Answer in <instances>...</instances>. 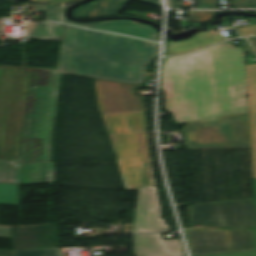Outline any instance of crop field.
I'll return each instance as SVG.
<instances>
[{"label":"crop field","instance_id":"3","mask_svg":"<svg viewBox=\"0 0 256 256\" xmlns=\"http://www.w3.org/2000/svg\"><path fill=\"white\" fill-rule=\"evenodd\" d=\"M30 86L24 134L18 164L41 163L44 139L33 138L40 86L59 87L57 70L0 66V160L16 161L24 121L30 73Z\"/></svg>","mask_w":256,"mask_h":256},{"label":"crop field","instance_id":"25","mask_svg":"<svg viewBox=\"0 0 256 256\" xmlns=\"http://www.w3.org/2000/svg\"><path fill=\"white\" fill-rule=\"evenodd\" d=\"M238 40L242 44V46L244 47L247 56L256 55V53L251 48V46L249 45V43L247 42V40L245 38H241V39H238Z\"/></svg>","mask_w":256,"mask_h":256},{"label":"crop field","instance_id":"10","mask_svg":"<svg viewBox=\"0 0 256 256\" xmlns=\"http://www.w3.org/2000/svg\"><path fill=\"white\" fill-rule=\"evenodd\" d=\"M139 200L132 233L169 231L161 219V207L156 187H139Z\"/></svg>","mask_w":256,"mask_h":256},{"label":"crop field","instance_id":"15","mask_svg":"<svg viewBox=\"0 0 256 256\" xmlns=\"http://www.w3.org/2000/svg\"><path fill=\"white\" fill-rule=\"evenodd\" d=\"M254 178H256V64L247 65Z\"/></svg>","mask_w":256,"mask_h":256},{"label":"crop field","instance_id":"28","mask_svg":"<svg viewBox=\"0 0 256 256\" xmlns=\"http://www.w3.org/2000/svg\"><path fill=\"white\" fill-rule=\"evenodd\" d=\"M0 256H12L11 251L0 250Z\"/></svg>","mask_w":256,"mask_h":256},{"label":"crop field","instance_id":"30","mask_svg":"<svg viewBox=\"0 0 256 256\" xmlns=\"http://www.w3.org/2000/svg\"><path fill=\"white\" fill-rule=\"evenodd\" d=\"M250 39L253 42V44L255 45V47H256V38H250Z\"/></svg>","mask_w":256,"mask_h":256},{"label":"crop field","instance_id":"11","mask_svg":"<svg viewBox=\"0 0 256 256\" xmlns=\"http://www.w3.org/2000/svg\"><path fill=\"white\" fill-rule=\"evenodd\" d=\"M59 88L41 87L34 137L45 138L42 163L51 162L52 129Z\"/></svg>","mask_w":256,"mask_h":256},{"label":"crop field","instance_id":"5","mask_svg":"<svg viewBox=\"0 0 256 256\" xmlns=\"http://www.w3.org/2000/svg\"><path fill=\"white\" fill-rule=\"evenodd\" d=\"M127 190H138L142 160L137 133L146 132L144 112L106 113Z\"/></svg>","mask_w":256,"mask_h":256},{"label":"crop field","instance_id":"16","mask_svg":"<svg viewBox=\"0 0 256 256\" xmlns=\"http://www.w3.org/2000/svg\"><path fill=\"white\" fill-rule=\"evenodd\" d=\"M63 26L53 23H27L29 38L60 40Z\"/></svg>","mask_w":256,"mask_h":256},{"label":"crop field","instance_id":"4","mask_svg":"<svg viewBox=\"0 0 256 256\" xmlns=\"http://www.w3.org/2000/svg\"><path fill=\"white\" fill-rule=\"evenodd\" d=\"M190 150L251 149L247 111L187 124Z\"/></svg>","mask_w":256,"mask_h":256},{"label":"crop field","instance_id":"8","mask_svg":"<svg viewBox=\"0 0 256 256\" xmlns=\"http://www.w3.org/2000/svg\"><path fill=\"white\" fill-rule=\"evenodd\" d=\"M137 86L95 80L99 112L106 127L105 112L145 111L144 99L137 98ZM109 136L114 147L113 137Z\"/></svg>","mask_w":256,"mask_h":256},{"label":"crop field","instance_id":"20","mask_svg":"<svg viewBox=\"0 0 256 256\" xmlns=\"http://www.w3.org/2000/svg\"><path fill=\"white\" fill-rule=\"evenodd\" d=\"M14 166V169L11 168ZM16 162L0 161V181L14 182Z\"/></svg>","mask_w":256,"mask_h":256},{"label":"crop field","instance_id":"19","mask_svg":"<svg viewBox=\"0 0 256 256\" xmlns=\"http://www.w3.org/2000/svg\"><path fill=\"white\" fill-rule=\"evenodd\" d=\"M0 203L18 204L17 184L0 183Z\"/></svg>","mask_w":256,"mask_h":256},{"label":"crop field","instance_id":"26","mask_svg":"<svg viewBox=\"0 0 256 256\" xmlns=\"http://www.w3.org/2000/svg\"><path fill=\"white\" fill-rule=\"evenodd\" d=\"M254 184H255V194H256V180H254ZM254 232H255V237H256V229H254ZM222 256H256V252L232 254V255H222Z\"/></svg>","mask_w":256,"mask_h":256},{"label":"crop field","instance_id":"21","mask_svg":"<svg viewBox=\"0 0 256 256\" xmlns=\"http://www.w3.org/2000/svg\"><path fill=\"white\" fill-rule=\"evenodd\" d=\"M15 256H59L57 248L14 251Z\"/></svg>","mask_w":256,"mask_h":256},{"label":"crop field","instance_id":"23","mask_svg":"<svg viewBox=\"0 0 256 256\" xmlns=\"http://www.w3.org/2000/svg\"><path fill=\"white\" fill-rule=\"evenodd\" d=\"M241 36L256 35V26L237 28Z\"/></svg>","mask_w":256,"mask_h":256},{"label":"crop field","instance_id":"17","mask_svg":"<svg viewBox=\"0 0 256 256\" xmlns=\"http://www.w3.org/2000/svg\"><path fill=\"white\" fill-rule=\"evenodd\" d=\"M139 136V142H140V148H141V154H142V160H143V170H142V177H141V183L140 186H152L156 185L154 173L149 157V151H148V145L145 133L138 134Z\"/></svg>","mask_w":256,"mask_h":256},{"label":"crop field","instance_id":"6","mask_svg":"<svg viewBox=\"0 0 256 256\" xmlns=\"http://www.w3.org/2000/svg\"><path fill=\"white\" fill-rule=\"evenodd\" d=\"M191 224L256 227L253 199L189 206Z\"/></svg>","mask_w":256,"mask_h":256},{"label":"crop field","instance_id":"22","mask_svg":"<svg viewBox=\"0 0 256 256\" xmlns=\"http://www.w3.org/2000/svg\"><path fill=\"white\" fill-rule=\"evenodd\" d=\"M214 12H206V11H196L193 17H190V21L192 22H201L211 19Z\"/></svg>","mask_w":256,"mask_h":256},{"label":"crop field","instance_id":"1","mask_svg":"<svg viewBox=\"0 0 256 256\" xmlns=\"http://www.w3.org/2000/svg\"><path fill=\"white\" fill-rule=\"evenodd\" d=\"M244 53L226 42L165 58L161 88L177 124L249 110Z\"/></svg>","mask_w":256,"mask_h":256},{"label":"crop field","instance_id":"13","mask_svg":"<svg viewBox=\"0 0 256 256\" xmlns=\"http://www.w3.org/2000/svg\"><path fill=\"white\" fill-rule=\"evenodd\" d=\"M130 0H99L79 7L74 11L77 18L117 15ZM159 6V0H137ZM160 7V6H159Z\"/></svg>","mask_w":256,"mask_h":256},{"label":"crop field","instance_id":"24","mask_svg":"<svg viewBox=\"0 0 256 256\" xmlns=\"http://www.w3.org/2000/svg\"><path fill=\"white\" fill-rule=\"evenodd\" d=\"M36 3H44V4H67L79 0H32Z\"/></svg>","mask_w":256,"mask_h":256},{"label":"crop field","instance_id":"9","mask_svg":"<svg viewBox=\"0 0 256 256\" xmlns=\"http://www.w3.org/2000/svg\"><path fill=\"white\" fill-rule=\"evenodd\" d=\"M65 8L66 7L34 5L33 12H46V21L66 22L69 24L80 25L92 29L116 32L144 39L157 40L156 30L147 25L131 22L128 20L106 21L97 25H83L69 22L64 18ZM58 12H61V14Z\"/></svg>","mask_w":256,"mask_h":256},{"label":"crop field","instance_id":"2","mask_svg":"<svg viewBox=\"0 0 256 256\" xmlns=\"http://www.w3.org/2000/svg\"><path fill=\"white\" fill-rule=\"evenodd\" d=\"M157 44L66 25L58 73L142 84Z\"/></svg>","mask_w":256,"mask_h":256},{"label":"crop field","instance_id":"12","mask_svg":"<svg viewBox=\"0 0 256 256\" xmlns=\"http://www.w3.org/2000/svg\"><path fill=\"white\" fill-rule=\"evenodd\" d=\"M132 237L136 256H185L180 239L164 240L161 234Z\"/></svg>","mask_w":256,"mask_h":256},{"label":"crop field","instance_id":"14","mask_svg":"<svg viewBox=\"0 0 256 256\" xmlns=\"http://www.w3.org/2000/svg\"><path fill=\"white\" fill-rule=\"evenodd\" d=\"M55 163L18 165L20 185L54 183Z\"/></svg>","mask_w":256,"mask_h":256},{"label":"crop field","instance_id":"27","mask_svg":"<svg viewBox=\"0 0 256 256\" xmlns=\"http://www.w3.org/2000/svg\"><path fill=\"white\" fill-rule=\"evenodd\" d=\"M0 237L11 238L10 228L0 227Z\"/></svg>","mask_w":256,"mask_h":256},{"label":"crop field","instance_id":"18","mask_svg":"<svg viewBox=\"0 0 256 256\" xmlns=\"http://www.w3.org/2000/svg\"><path fill=\"white\" fill-rule=\"evenodd\" d=\"M219 0H198L196 9H218ZM232 8H256V0H233Z\"/></svg>","mask_w":256,"mask_h":256},{"label":"crop field","instance_id":"29","mask_svg":"<svg viewBox=\"0 0 256 256\" xmlns=\"http://www.w3.org/2000/svg\"><path fill=\"white\" fill-rule=\"evenodd\" d=\"M171 8H176L179 5V0H170Z\"/></svg>","mask_w":256,"mask_h":256},{"label":"crop field","instance_id":"7","mask_svg":"<svg viewBox=\"0 0 256 256\" xmlns=\"http://www.w3.org/2000/svg\"><path fill=\"white\" fill-rule=\"evenodd\" d=\"M194 255L256 250L252 230L185 231Z\"/></svg>","mask_w":256,"mask_h":256}]
</instances>
